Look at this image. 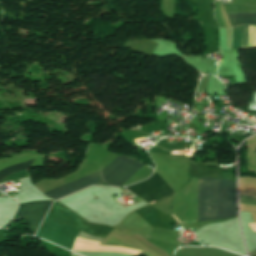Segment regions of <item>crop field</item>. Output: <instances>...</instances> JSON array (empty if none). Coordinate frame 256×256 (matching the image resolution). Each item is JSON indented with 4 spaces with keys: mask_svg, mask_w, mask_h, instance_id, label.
<instances>
[{
    "mask_svg": "<svg viewBox=\"0 0 256 256\" xmlns=\"http://www.w3.org/2000/svg\"><path fill=\"white\" fill-rule=\"evenodd\" d=\"M231 22L234 26H240L245 24L256 25V13L255 14H228Z\"/></svg>",
    "mask_w": 256,
    "mask_h": 256,
    "instance_id": "e52e79f7",
    "label": "crop field"
},
{
    "mask_svg": "<svg viewBox=\"0 0 256 256\" xmlns=\"http://www.w3.org/2000/svg\"><path fill=\"white\" fill-rule=\"evenodd\" d=\"M232 50L247 49L246 26L231 28Z\"/></svg>",
    "mask_w": 256,
    "mask_h": 256,
    "instance_id": "dd49c442",
    "label": "crop field"
},
{
    "mask_svg": "<svg viewBox=\"0 0 256 256\" xmlns=\"http://www.w3.org/2000/svg\"><path fill=\"white\" fill-rule=\"evenodd\" d=\"M126 188L149 203L157 202L175 193L174 189L156 173L151 178Z\"/></svg>",
    "mask_w": 256,
    "mask_h": 256,
    "instance_id": "ac0d7876",
    "label": "crop field"
},
{
    "mask_svg": "<svg viewBox=\"0 0 256 256\" xmlns=\"http://www.w3.org/2000/svg\"><path fill=\"white\" fill-rule=\"evenodd\" d=\"M104 183L100 172L94 175H91L89 177L83 178L81 180L75 181L73 183H70L68 185L62 186L60 188L54 189L52 191L46 192L44 193L46 196H48L49 198H53V199H57L60 198L62 196H65L67 194H70L72 192H75L77 190H80L82 188H85L89 185H99Z\"/></svg>",
    "mask_w": 256,
    "mask_h": 256,
    "instance_id": "f4fd0767",
    "label": "crop field"
},
{
    "mask_svg": "<svg viewBox=\"0 0 256 256\" xmlns=\"http://www.w3.org/2000/svg\"><path fill=\"white\" fill-rule=\"evenodd\" d=\"M33 161V160H32ZM32 161L20 163L13 165L11 167L5 168L0 171V181L5 178L6 176L16 172V171H22L28 168V166L31 164Z\"/></svg>",
    "mask_w": 256,
    "mask_h": 256,
    "instance_id": "d8731c3e",
    "label": "crop field"
},
{
    "mask_svg": "<svg viewBox=\"0 0 256 256\" xmlns=\"http://www.w3.org/2000/svg\"><path fill=\"white\" fill-rule=\"evenodd\" d=\"M230 217H238L237 184L229 180L198 178V221Z\"/></svg>",
    "mask_w": 256,
    "mask_h": 256,
    "instance_id": "8a807250",
    "label": "crop field"
},
{
    "mask_svg": "<svg viewBox=\"0 0 256 256\" xmlns=\"http://www.w3.org/2000/svg\"><path fill=\"white\" fill-rule=\"evenodd\" d=\"M143 164L120 155L107 169L102 171L103 179L110 185L120 186Z\"/></svg>",
    "mask_w": 256,
    "mask_h": 256,
    "instance_id": "34b2d1b8",
    "label": "crop field"
},
{
    "mask_svg": "<svg viewBox=\"0 0 256 256\" xmlns=\"http://www.w3.org/2000/svg\"><path fill=\"white\" fill-rule=\"evenodd\" d=\"M248 111L256 112V91L253 92L251 100L248 105Z\"/></svg>",
    "mask_w": 256,
    "mask_h": 256,
    "instance_id": "5a996713",
    "label": "crop field"
},
{
    "mask_svg": "<svg viewBox=\"0 0 256 256\" xmlns=\"http://www.w3.org/2000/svg\"><path fill=\"white\" fill-rule=\"evenodd\" d=\"M52 202L53 201H43L19 204V208L15 214L19 218L23 219L32 233L35 234L41 220Z\"/></svg>",
    "mask_w": 256,
    "mask_h": 256,
    "instance_id": "412701ff",
    "label": "crop field"
}]
</instances>
